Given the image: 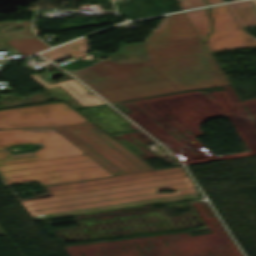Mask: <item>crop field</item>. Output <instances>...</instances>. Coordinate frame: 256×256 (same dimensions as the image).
Here are the masks:
<instances>
[{
	"label": "crop field",
	"mask_w": 256,
	"mask_h": 256,
	"mask_svg": "<svg viewBox=\"0 0 256 256\" xmlns=\"http://www.w3.org/2000/svg\"><path fill=\"white\" fill-rule=\"evenodd\" d=\"M192 187L182 167L46 187L52 197L21 202L27 211Z\"/></svg>",
	"instance_id": "crop-field-2"
},
{
	"label": "crop field",
	"mask_w": 256,
	"mask_h": 256,
	"mask_svg": "<svg viewBox=\"0 0 256 256\" xmlns=\"http://www.w3.org/2000/svg\"><path fill=\"white\" fill-rule=\"evenodd\" d=\"M207 9L186 12L185 15L202 38L203 41L206 40L208 34L210 33V21L206 15Z\"/></svg>",
	"instance_id": "crop-field-10"
},
{
	"label": "crop field",
	"mask_w": 256,
	"mask_h": 256,
	"mask_svg": "<svg viewBox=\"0 0 256 256\" xmlns=\"http://www.w3.org/2000/svg\"><path fill=\"white\" fill-rule=\"evenodd\" d=\"M6 42H8L11 46H13L16 50H18L24 56L48 48V46H46L44 43H42L35 37L18 38V39L8 40Z\"/></svg>",
	"instance_id": "crop-field-11"
},
{
	"label": "crop field",
	"mask_w": 256,
	"mask_h": 256,
	"mask_svg": "<svg viewBox=\"0 0 256 256\" xmlns=\"http://www.w3.org/2000/svg\"><path fill=\"white\" fill-rule=\"evenodd\" d=\"M206 1H207L208 5L225 2L223 0H206Z\"/></svg>",
	"instance_id": "crop-field-13"
},
{
	"label": "crop field",
	"mask_w": 256,
	"mask_h": 256,
	"mask_svg": "<svg viewBox=\"0 0 256 256\" xmlns=\"http://www.w3.org/2000/svg\"><path fill=\"white\" fill-rule=\"evenodd\" d=\"M1 235V234H0Z\"/></svg>",
	"instance_id": "crop-field-15"
},
{
	"label": "crop field",
	"mask_w": 256,
	"mask_h": 256,
	"mask_svg": "<svg viewBox=\"0 0 256 256\" xmlns=\"http://www.w3.org/2000/svg\"><path fill=\"white\" fill-rule=\"evenodd\" d=\"M0 174L5 183L44 185L112 175L87 155L0 166Z\"/></svg>",
	"instance_id": "crop-field-4"
},
{
	"label": "crop field",
	"mask_w": 256,
	"mask_h": 256,
	"mask_svg": "<svg viewBox=\"0 0 256 256\" xmlns=\"http://www.w3.org/2000/svg\"><path fill=\"white\" fill-rule=\"evenodd\" d=\"M35 153L11 155L5 148L14 144H38ZM81 150L51 128L0 131V165L83 155Z\"/></svg>",
	"instance_id": "crop-field-7"
},
{
	"label": "crop field",
	"mask_w": 256,
	"mask_h": 256,
	"mask_svg": "<svg viewBox=\"0 0 256 256\" xmlns=\"http://www.w3.org/2000/svg\"><path fill=\"white\" fill-rule=\"evenodd\" d=\"M213 31L208 38L210 52L256 47V39L241 27L256 23L250 0L211 7Z\"/></svg>",
	"instance_id": "crop-field-6"
},
{
	"label": "crop field",
	"mask_w": 256,
	"mask_h": 256,
	"mask_svg": "<svg viewBox=\"0 0 256 256\" xmlns=\"http://www.w3.org/2000/svg\"><path fill=\"white\" fill-rule=\"evenodd\" d=\"M253 1H254L255 5H256V0H253Z\"/></svg>",
	"instance_id": "crop-field-14"
},
{
	"label": "crop field",
	"mask_w": 256,
	"mask_h": 256,
	"mask_svg": "<svg viewBox=\"0 0 256 256\" xmlns=\"http://www.w3.org/2000/svg\"><path fill=\"white\" fill-rule=\"evenodd\" d=\"M75 73L109 101L178 90L146 62L117 65L108 59Z\"/></svg>",
	"instance_id": "crop-field-3"
},
{
	"label": "crop field",
	"mask_w": 256,
	"mask_h": 256,
	"mask_svg": "<svg viewBox=\"0 0 256 256\" xmlns=\"http://www.w3.org/2000/svg\"><path fill=\"white\" fill-rule=\"evenodd\" d=\"M178 2L182 10L206 5L204 0H178Z\"/></svg>",
	"instance_id": "crop-field-12"
},
{
	"label": "crop field",
	"mask_w": 256,
	"mask_h": 256,
	"mask_svg": "<svg viewBox=\"0 0 256 256\" xmlns=\"http://www.w3.org/2000/svg\"><path fill=\"white\" fill-rule=\"evenodd\" d=\"M114 175L154 168L94 125L54 128Z\"/></svg>",
	"instance_id": "crop-field-5"
},
{
	"label": "crop field",
	"mask_w": 256,
	"mask_h": 256,
	"mask_svg": "<svg viewBox=\"0 0 256 256\" xmlns=\"http://www.w3.org/2000/svg\"><path fill=\"white\" fill-rule=\"evenodd\" d=\"M195 194H196V191L193 188H189V189L176 190L175 193H152V194L118 198V199L98 201V202H92V203L31 211L29 213L34 219L40 220L48 217H59V216H65V215H72V214L111 209V208H117V207L131 206V205L144 204V203H150V202L161 203V202L185 200L192 197H197Z\"/></svg>",
	"instance_id": "crop-field-9"
},
{
	"label": "crop field",
	"mask_w": 256,
	"mask_h": 256,
	"mask_svg": "<svg viewBox=\"0 0 256 256\" xmlns=\"http://www.w3.org/2000/svg\"><path fill=\"white\" fill-rule=\"evenodd\" d=\"M74 111L62 103L4 110L0 111V129L91 124Z\"/></svg>",
	"instance_id": "crop-field-8"
},
{
	"label": "crop field",
	"mask_w": 256,
	"mask_h": 256,
	"mask_svg": "<svg viewBox=\"0 0 256 256\" xmlns=\"http://www.w3.org/2000/svg\"><path fill=\"white\" fill-rule=\"evenodd\" d=\"M147 41L151 65L179 90L229 85L184 13L168 15Z\"/></svg>",
	"instance_id": "crop-field-1"
}]
</instances>
